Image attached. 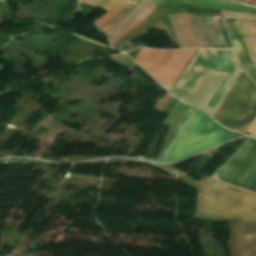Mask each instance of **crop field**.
I'll list each match as a JSON object with an SVG mask.
<instances>
[{
	"instance_id": "2",
	"label": "crop field",
	"mask_w": 256,
	"mask_h": 256,
	"mask_svg": "<svg viewBox=\"0 0 256 256\" xmlns=\"http://www.w3.org/2000/svg\"><path fill=\"white\" fill-rule=\"evenodd\" d=\"M196 216L256 224V194L205 178L199 184Z\"/></svg>"
},
{
	"instance_id": "14",
	"label": "crop field",
	"mask_w": 256,
	"mask_h": 256,
	"mask_svg": "<svg viewBox=\"0 0 256 256\" xmlns=\"http://www.w3.org/2000/svg\"><path fill=\"white\" fill-rule=\"evenodd\" d=\"M256 51V20H245Z\"/></svg>"
},
{
	"instance_id": "9",
	"label": "crop field",
	"mask_w": 256,
	"mask_h": 256,
	"mask_svg": "<svg viewBox=\"0 0 256 256\" xmlns=\"http://www.w3.org/2000/svg\"><path fill=\"white\" fill-rule=\"evenodd\" d=\"M161 0H151V2L126 26L119 29L113 35L108 37L111 45H113L125 32L140 23L160 2Z\"/></svg>"
},
{
	"instance_id": "11",
	"label": "crop field",
	"mask_w": 256,
	"mask_h": 256,
	"mask_svg": "<svg viewBox=\"0 0 256 256\" xmlns=\"http://www.w3.org/2000/svg\"><path fill=\"white\" fill-rule=\"evenodd\" d=\"M253 67L256 69V54L244 20H237Z\"/></svg>"
},
{
	"instance_id": "7",
	"label": "crop field",
	"mask_w": 256,
	"mask_h": 256,
	"mask_svg": "<svg viewBox=\"0 0 256 256\" xmlns=\"http://www.w3.org/2000/svg\"><path fill=\"white\" fill-rule=\"evenodd\" d=\"M183 47H199L187 13L172 15Z\"/></svg>"
},
{
	"instance_id": "5",
	"label": "crop field",
	"mask_w": 256,
	"mask_h": 256,
	"mask_svg": "<svg viewBox=\"0 0 256 256\" xmlns=\"http://www.w3.org/2000/svg\"><path fill=\"white\" fill-rule=\"evenodd\" d=\"M194 51L142 48L135 61L169 91Z\"/></svg>"
},
{
	"instance_id": "4",
	"label": "crop field",
	"mask_w": 256,
	"mask_h": 256,
	"mask_svg": "<svg viewBox=\"0 0 256 256\" xmlns=\"http://www.w3.org/2000/svg\"><path fill=\"white\" fill-rule=\"evenodd\" d=\"M256 116V85L242 72L212 118L245 133Z\"/></svg>"
},
{
	"instance_id": "1",
	"label": "crop field",
	"mask_w": 256,
	"mask_h": 256,
	"mask_svg": "<svg viewBox=\"0 0 256 256\" xmlns=\"http://www.w3.org/2000/svg\"><path fill=\"white\" fill-rule=\"evenodd\" d=\"M239 73L232 50L199 49L171 94L212 117Z\"/></svg>"
},
{
	"instance_id": "12",
	"label": "crop field",
	"mask_w": 256,
	"mask_h": 256,
	"mask_svg": "<svg viewBox=\"0 0 256 256\" xmlns=\"http://www.w3.org/2000/svg\"><path fill=\"white\" fill-rule=\"evenodd\" d=\"M140 0H130L127 5L114 18L106 23L100 30L104 33L117 24Z\"/></svg>"
},
{
	"instance_id": "17",
	"label": "crop field",
	"mask_w": 256,
	"mask_h": 256,
	"mask_svg": "<svg viewBox=\"0 0 256 256\" xmlns=\"http://www.w3.org/2000/svg\"><path fill=\"white\" fill-rule=\"evenodd\" d=\"M197 51V49H196ZM196 51L194 52V54L196 53ZM194 54L192 55V57L194 56ZM192 57L190 58L189 62L191 61ZM189 62L187 63V65L189 64ZM187 65L185 66V68L183 69V71L181 72V74L179 75V77L177 78L176 82L174 83V85L172 86V88L170 89L169 92L172 91V89L174 88V86L176 85L177 81L179 80V78L181 77L182 73L184 72V70L186 69Z\"/></svg>"
},
{
	"instance_id": "6",
	"label": "crop field",
	"mask_w": 256,
	"mask_h": 256,
	"mask_svg": "<svg viewBox=\"0 0 256 256\" xmlns=\"http://www.w3.org/2000/svg\"><path fill=\"white\" fill-rule=\"evenodd\" d=\"M190 16H221V14H189ZM200 45H226L227 46H200L216 48H232L229 36L221 17H190Z\"/></svg>"
},
{
	"instance_id": "15",
	"label": "crop field",
	"mask_w": 256,
	"mask_h": 256,
	"mask_svg": "<svg viewBox=\"0 0 256 256\" xmlns=\"http://www.w3.org/2000/svg\"><path fill=\"white\" fill-rule=\"evenodd\" d=\"M247 133L251 136L256 137V118L254 119V121L250 125L249 129L247 130Z\"/></svg>"
},
{
	"instance_id": "21",
	"label": "crop field",
	"mask_w": 256,
	"mask_h": 256,
	"mask_svg": "<svg viewBox=\"0 0 256 256\" xmlns=\"http://www.w3.org/2000/svg\"><path fill=\"white\" fill-rule=\"evenodd\" d=\"M83 0H79V3H81Z\"/></svg>"
},
{
	"instance_id": "13",
	"label": "crop field",
	"mask_w": 256,
	"mask_h": 256,
	"mask_svg": "<svg viewBox=\"0 0 256 256\" xmlns=\"http://www.w3.org/2000/svg\"><path fill=\"white\" fill-rule=\"evenodd\" d=\"M129 0H120L116 5H114L108 12L102 15L99 19H97L95 24L99 27L103 26L106 22H108L120 9L128 2Z\"/></svg>"
},
{
	"instance_id": "3",
	"label": "crop field",
	"mask_w": 256,
	"mask_h": 256,
	"mask_svg": "<svg viewBox=\"0 0 256 256\" xmlns=\"http://www.w3.org/2000/svg\"><path fill=\"white\" fill-rule=\"evenodd\" d=\"M230 136V131L223 129L196 109L173 140L163 162H174L229 141Z\"/></svg>"
},
{
	"instance_id": "20",
	"label": "crop field",
	"mask_w": 256,
	"mask_h": 256,
	"mask_svg": "<svg viewBox=\"0 0 256 256\" xmlns=\"http://www.w3.org/2000/svg\"><path fill=\"white\" fill-rule=\"evenodd\" d=\"M244 1H248L249 2L250 0H244ZM253 1H256V0H253Z\"/></svg>"
},
{
	"instance_id": "18",
	"label": "crop field",
	"mask_w": 256,
	"mask_h": 256,
	"mask_svg": "<svg viewBox=\"0 0 256 256\" xmlns=\"http://www.w3.org/2000/svg\"><path fill=\"white\" fill-rule=\"evenodd\" d=\"M230 1H233V0H230ZM238 1H236V2H238ZM241 3H244V2H241ZM250 3L256 4V2H253V1H251ZM245 4H249V3H245ZM253 4H250V5H253ZM254 6H256V5H254Z\"/></svg>"
},
{
	"instance_id": "16",
	"label": "crop field",
	"mask_w": 256,
	"mask_h": 256,
	"mask_svg": "<svg viewBox=\"0 0 256 256\" xmlns=\"http://www.w3.org/2000/svg\"><path fill=\"white\" fill-rule=\"evenodd\" d=\"M119 0H106L104 4L101 6V8L108 10L111 8L115 3H117Z\"/></svg>"
},
{
	"instance_id": "19",
	"label": "crop field",
	"mask_w": 256,
	"mask_h": 256,
	"mask_svg": "<svg viewBox=\"0 0 256 256\" xmlns=\"http://www.w3.org/2000/svg\"><path fill=\"white\" fill-rule=\"evenodd\" d=\"M105 0H102L98 5H96L97 7H100L102 4H103V2H104Z\"/></svg>"
},
{
	"instance_id": "8",
	"label": "crop field",
	"mask_w": 256,
	"mask_h": 256,
	"mask_svg": "<svg viewBox=\"0 0 256 256\" xmlns=\"http://www.w3.org/2000/svg\"><path fill=\"white\" fill-rule=\"evenodd\" d=\"M181 1H188L196 4H201V5L209 6L211 8L256 12V7L241 4V3H236V2L223 1V0H181Z\"/></svg>"
},
{
	"instance_id": "10",
	"label": "crop field",
	"mask_w": 256,
	"mask_h": 256,
	"mask_svg": "<svg viewBox=\"0 0 256 256\" xmlns=\"http://www.w3.org/2000/svg\"><path fill=\"white\" fill-rule=\"evenodd\" d=\"M247 256H256V225L241 224Z\"/></svg>"
}]
</instances>
